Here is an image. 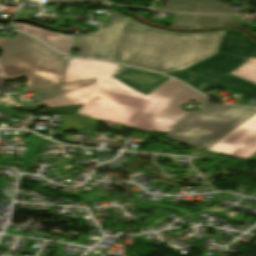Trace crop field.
Here are the masks:
<instances>
[{"instance_id":"crop-field-1","label":"crop field","mask_w":256,"mask_h":256,"mask_svg":"<svg viewBox=\"0 0 256 256\" xmlns=\"http://www.w3.org/2000/svg\"><path fill=\"white\" fill-rule=\"evenodd\" d=\"M118 67L110 62L71 57L63 83L97 78L96 83L32 107L84 105L77 112L81 116L169 133L187 113L180 107L183 103L208 100L173 78L144 95L111 77Z\"/></svg>"},{"instance_id":"crop-field-2","label":"crop field","mask_w":256,"mask_h":256,"mask_svg":"<svg viewBox=\"0 0 256 256\" xmlns=\"http://www.w3.org/2000/svg\"><path fill=\"white\" fill-rule=\"evenodd\" d=\"M224 31L182 34L128 17L110 60L162 73L182 69L217 53Z\"/></svg>"},{"instance_id":"crop-field-3","label":"crop field","mask_w":256,"mask_h":256,"mask_svg":"<svg viewBox=\"0 0 256 256\" xmlns=\"http://www.w3.org/2000/svg\"><path fill=\"white\" fill-rule=\"evenodd\" d=\"M0 48V68L7 80L30 79L25 91L62 83L69 60L40 42L16 31L15 39L0 38Z\"/></svg>"},{"instance_id":"crop-field-4","label":"crop field","mask_w":256,"mask_h":256,"mask_svg":"<svg viewBox=\"0 0 256 256\" xmlns=\"http://www.w3.org/2000/svg\"><path fill=\"white\" fill-rule=\"evenodd\" d=\"M254 112H256L255 108L208 102L200 112H190L168 137L182 143L208 149Z\"/></svg>"},{"instance_id":"crop-field-5","label":"crop field","mask_w":256,"mask_h":256,"mask_svg":"<svg viewBox=\"0 0 256 256\" xmlns=\"http://www.w3.org/2000/svg\"><path fill=\"white\" fill-rule=\"evenodd\" d=\"M246 59V57L217 53L186 69L166 74L180 79L199 92L218 86L234 95H241L233 104L256 106V85L228 73ZM250 101L255 102L252 104L249 103Z\"/></svg>"},{"instance_id":"crop-field-6","label":"crop field","mask_w":256,"mask_h":256,"mask_svg":"<svg viewBox=\"0 0 256 256\" xmlns=\"http://www.w3.org/2000/svg\"><path fill=\"white\" fill-rule=\"evenodd\" d=\"M209 150L249 158L256 152V115L235 128Z\"/></svg>"},{"instance_id":"crop-field-7","label":"crop field","mask_w":256,"mask_h":256,"mask_svg":"<svg viewBox=\"0 0 256 256\" xmlns=\"http://www.w3.org/2000/svg\"><path fill=\"white\" fill-rule=\"evenodd\" d=\"M126 19L127 16L122 14H110V25H100L101 30L91 58L110 59Z\"/></svg>"},{"instance_id":"crop-field-8","label":"crop field","mask_w":256,"mask_h":256,"mask_svg":"<svg viewBox=\"0 0 256 256\" xmlns=\"http://www.w3.org/2000/svg\"><path fill=\"white\" fill-rule=\"evenodd\" d=\"M115 77L144 94L151 93L170 78L161 74L131 67L126 68Z\"/></svg>"},{"instance_id":"crop-field-9","label":"crop field","mask_w":256,"mask_h":256,"mask_svg":"<svg viewBox=\"0 0 256 256\" xmlns=\"http://www.w3.org/2000/svg\"><path fill=\"white\" fill-rule=\"evenodd\" d=\"M228 4L214 0H168L162 10L188 13H241V9H230Z\"/></svg>"},{"instance_id":"crop-field-10","label":"crop field","mask_w":256,"mask_h":256,"mask_svg":"<svg viewBox=\"0 0 256 256\" xmlns=\"http://www.w3.org/2000/svg\"><path fill=\"white\" fill-rule=\"evenodd\" d=\"M218 52L256 58V43L237 29H227Z\"/></svg>"},{"instance_id":"crop-field-11","label":"crop field","mask_w":256,"mask_h":256,"mask_svg":"<svg viewBox=\"0 0 256 256\" xmlns=\"http://www.w3.org/2000/svg\"><path fill=\"white\" fill-rule=\"evenodd\" d=\"M239 16H193L176 14L170 27L173 28H207L236 23Z\"/></svg>"},{"instance_id":"crop-field-12","label":"crop field","mask_w":256,"mask_h":256,"mask_svg":"<svg viewBox=\"0 0 256 256\" xmlns=\"http://www.w3.org/2000/svg\"><path fill=\"white\" fill-rule=\"evenodd\" d=\"M13 26L47 42L56 50L62 53L69 54L70 52V49L72 47L73 40H74L73 37H69V36L61 35L57 33L46 32V31L36 29L30 26L22 25V24H13Z\"/></svg>"},{"instance_id":"crop-field-13","label":"crop field","mask_w":256,"mask_h":256,"mask_svg":"<svg viewBox=\"0 0 256 256\" xmlns=\"http://www.w3.org/2000/svg\"><path fill=\"white\" fill-rule=\"evenodd\" d=\"M96 79L91 80H85V81H79V82H73V83H67L59 86L49 87V88H43L36 90L41 101L50 99L52 97L61 95L63 93L72 91L74 89L86 86L88 84L94 83Z\"/></svg>"},{"instance_id":"crop-field-14","label":"crop field","mask_w":256,"mask_h":256,"mask_svg":"<svg viewBox=\"0 0 256 256\" xmlns=\"http://www.w3.org/2000/svg\"><path fill=\"white\" fill-rule=\"evenodd\" d=\"M96 121L94 119L79 117L73 114L65 117L64 126L62 130H53L54 134L63 135V131L78 130V129H91L96 130Z\"/></svg>"},{"instance_id":"crop-field-15","label":"crop field","mask_w":256,"mask_h":256,"mask_svg":"<svg viewBox=\"0 0 256 256\" xmlns=\"http://www.w3.org/2000/svg\"><path fill=\"white\" fill-rule=\"evenodd\" d=\"M98 33L80 34L77 36L73 49L80 50L76 56L89 57L95 38Z\"/></svg>"},{"instance_id":"crop-field-16","label":"crop field","mask_w":256,"mask_h":256,"mask_svg":"<svg viewBox=\"0 0 256 256\" xmlns=\"http://www.w3.org/2000/svg\"><path fill=\"white\" fill-rule=\"evenodd\" d=\"M231 74L256 83V59L250 58L241 68Z\"/></svg>"},{"instance_id":"crop-field-17","label":"crop field","mask_w":256,"mask_h":256,"mask_svg":"<svg viewBox=\"0 0 256 256\" xmlns=\"http://www.w3.org/2000/svg\"><path fill=\"white\" fill-rule=\"evenodd\" d=\"M47 140L37 137L35 135H31L30 137V142H29V146L27 148L26 151V157L25 158H29V157H34V155L36 154V152L38 151L39 147L46 142Z\"/></svg>"},{"instance_id":"crop-field-18","label":"crop field","mask_w":256,"mask_h":256,"mask_svg":"<svg viewBox=\"0 0 256 256\" xmlns=\"http://www.w3.org/2000/svg\"><path fill=\"white\" fill-rule=\"evenodd\" d=\"M89 1H101L105 0H46L45 3H68V2H89Z\"/></svg>"},{"instance_id":"crop-field-19","label":"crop field","mask_w":256,"mask_h":256,"mask_svg":"<svg viewBox=\"0 0 256 256\" xmlns=\"http://www.w3.org/2000/svg\"><path fill=\"white\" fill-rule=\"evenodd\" d=\"M32 160H33V158L32 159H27V160L24 161L22 172H27Z\"/></svg>"},{"instance_id":"crop-field-20","label":"crop field","mask_w":256,"mask_h":256,"mask_svg":"<svg viewBox=\"0 0 256 256\" xmlns=\"http://www.w3.org/2000/svg\"><path fill=\"white\" fill-rule=\"evenodd\" d=\"M6 81H7V80H6L5 76L3 75V73H2L1 70H0V85L3 84V83H5Z\"/></svg>"},{"instance_id":"crop-field-21","label":"crop field","mask_w":256,"mask_h":256,"mask_svg":"<svg viewBox=\"0 0 256 256\" xmlns=\"http://www.w3.org/2000/svg\"><path fill=\"white\" fill-rule=\"evenodd\" d=\"M7 1H15V0H7Z\"/></svg>"}]
</instances>
